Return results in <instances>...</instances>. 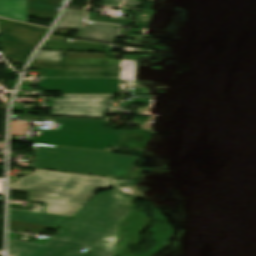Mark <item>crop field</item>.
I'll list each match as a JSON object with an SVG mask.
<instances>
[{
    "label": "crop field",
    "mask_w": 256,
    "mask_h": 256,
    "mask_svg": "<svg viewBox=\"0 0 256 256\" xmlns=\"http://www.w3.org/2000/svg\"><path fill=\"white\" fill-rule=\"evenodd\" d=\"M135 200L116 190L97 193L45 246L9 239L10 255L113 256L116 239L101 240L117 237L118 223L136 207ZM83 248L88 250L79 252Z\"/></svg>",
    "instance_id": "obj_1"
},
{
    "label": "crop field",
    "mask_w": 256,
    "mask_h": 256,
    "mask_svg": "<svg viewBox=\"0 0 256 256\" xmlns=\"http://www.w3.org/2000/svg\"><path fill=\"white\" fill-rule=\"evenodd\" d=\"M13 190L28 193V201L46 203L43 213L72 217L99 189L112 188L103 178L36 171L12 184Z\"/></svg>",
    "instance_id": "obj_2"
},
{
    "label": "crop field",
    "mask_w": 256,
    "mask_h": 256,
    "mask_svg": "<svg viewBox=\"0 0 256 256\" xmlns=\"http://www.w3.org/2000/svg\"><path fill=\"white\" fill-rule=\"evenodd\" d=\"M23 120L59 121L57 131H43L33 143L77 147L106 151L120 136L119 130H102L103 121L37 118L22 116Z\"/></svg>",
    "instance_id": "obj_3"
},
{
    "label": "crop field",
    "mask_w": 256,
    "mask_h": 256,
    "mask_svg": "<svg viewBox=\"0 0 256 256\" xmlns=\"http://www.w3.org/2000/svg\"><path fill=\"white\" fill-rule=\"evenodd\" d=\"M35 167L102 176L112 175L114 153L34 144Z\"/></svg>",
    "instance_id": "obj_4"
},
{
    "label": "crop field",
    "mask_w": 256,
    "mask_h": 256,
    "mask_svg": "<svg viewBox=\"0 0 256 256\" xmlns=\"http://www.w3.org/2000/svg\"><path fill=\"white\" fill-rule=\"evenodd\" d=\"M46 29L17 23L0 34L4 57L25 63Z\"/></svg>",
    "instance_id": "obj_5"
},
{
    "label": "crop field",
    "mask_w": 256,
    "mask_h": 256,
    "mask_svg": "<svg viewBox=\"0 0 256 256\" xmlns=\"http://www.w3.org/2000/svg\"><path fill=\"white\" fill-rule=\"evenodd\" d=\"M109 98L110 96H67L62 99H53L50 115L104 118Z\"/></svg>",
    "instance_id": "obj_6"
},
{
    "label": "crop field",
    "mask_w": 256,
    "mask_h": 256,
    "mask_svg": "<svg viewBox=\"0 0 256 256\" xmlns=\"http://www.w3.org/2000/svg\"><path fill=\"white\" fill-rule=\"evenodd\" d=\"M57 28L80 31L77 38L114 43L120 26L85 22V11L65 10Z\"/></svg>",
    "instance_id": "obj_7"
},
{
    "label": "crop field",
    "mask_w": 256,
    "mask_h": 256,
    "mask_svg": "<svg viewBox=\"0 0 256 256\" xmlns=\"http://www.w3.org/2000/svg\"><path fill=\"white\" fill-rule=\"evenodd\" d=\"M36 86L62 90V94H113L119 92L118 79H42Z\"/></svg>",
    "instance_id": "obj_8"
},
{
    "label": "crop field",
    "mask_w": 256,
    "mask_h": 256,
    "mask_svg": "<svg viewBox=\"0 0 256 256\" xmlns=\"http://www.w3.org/2000/svg\"><path fill=\"white\" fill-rule=\"evenodd\" d=\"M51 77H120V65H62L46 70Z\"/></svg>",
    "instance_id": "obj_9"
},
{
    "label": "crop field",
    "mask_w": 256,
    "mask_h": 256,
    "mask_svg": "<svg viewBox=\"0 0 256 256\" xmlns=\"http://www.w3.org/2000/svg\"><path fill=\"white\" fill-rule=\"evenodd\" d=\"M64 0H28V17L54 21Z\"/></svg>",
    "instance_id": "obj_10"
},
{
    "label": "crop field",
    "mask_w": 256,
    "mask_h": 256,
    "mask_svg": "<svg viewBox=\"0 0 256 256\" xmlns=\"http://www.w3.org/2000/svg\"><path fill=\"white\" fill-rule=\"evenodd\" d=\"M13 220L43 224L62 228L70 218L10 209Z\"/></svg>",
    "instance_id": "obj_11"
},
{
    "label": "crop field",
    "mask_w": 256,
    "mask_h": 256,
    "mask_svg": "<svg viewBox=\"0 0 256 256\" xmlns=\"http://www.w3.org/2000/svg\"><path fill=\"white\" fill-rule=\"evenodd\" d=\"M0 16L27 23V0H0Z\"/></svg>",
    "instance_id": "obj_12"
},
{
    "label": "crop field",
    "mask_w": 256,
    "mask_h": 256,
    "mask_svg": "<svg viewBox=\"0 0 256 256\" xmlns=\"http://www.w3.org/2000/svg\"><path fill=\"white\" fill-rule=\"evenodd\" d=\"M137 161H139V158L136 156L118 154L113 174L123 178H130L132 168Z\"/></svg>",
    "instance_id": "obj_13"
},
{
    "label": "crop field",
    "mask_w": 256,
    "mask_h": 256,
    "mask_svg": "<svg viewBox=\"0 0 256 256\" xmlns=\"http://www.w3.org/2000/svg\"><path fill=\"white\" fill-rule=\"evenodd\" d=\"M64 64H118L113 59H64Z\"/></svg>",
    "instance_id": "obj_14"
},
{
    "label": "crop field",
    "mask_w": 256,
    "mask_h": 256,
    "mask_svg": "<svg viewBox=\"0 0 256 256\" xmlns=\"http://www.w3.org/2000/svg\"><path fill=\"white\" fill-rule=\"evenodd\" d=\"M34 60L62 61V52H38Z\"/></svg>",
    "instance_id": "obj_15"
},
{
    "label": "crop field",
    "mask_w": 256,
    "mask_h": 256,
    "mask_svg": "<svg viewBox=\"0 0 256 256\" xmlns=\"http://www.w3.org/2000/svg\"><path fill=\"white\" fill-rule=\"evenodd\" d=\"M88 20L96 21V22L123 24V25L132 24L131 21H127V20H118V19H110V18L97 17L95 13H88Z\"/></svg>",
    "instance_id": "obj_16"
},
{
    "label": "crop field",
    "mask_w": 256,
    "mask_h": 256,
    "mask_svg": "<svg viewBox=\"0 0 256 256\" xmlns=\"http://www.w3.org/2000/svg\"><path fill=\"white\" fill-rule=\"evenodd\" d=\"M28 123L12 121L11 135H24L27 132Z\"/></svg>",
    "instance_id": "obj_17"
},
{
    "label": "crop field",
    "mask_w": 256,
    "mask_h": 256,
    "mask_svg": "<svg viewBox=\"0 0 256 256\" xmlns=\"http://www.w3.org/2000/svg\"><path fill=\"white\" fill-rule=\"evenodd\" d=\"M62 62H47V61H32L29 68L30 69H47L62 65Z\"/></svg>",
    "instance_id": "obj_18"
},
{
    "label": "crop field",
    "mask_w": 256,
    "mask_h": 256,
    "mask_svg": "<svg viewBox=\"0 0 256 256\" xmlns=\"http://www.w3.org/2000/svg\"><path fill=\"white\" fill-rule=\"evenodd\" d=\"M107 54L64 53V58H106Z\"/></svg>",
    "instance_id": "obj_19"
},
{
    "label": "crop field",
    "mask_w": 256,
    "mask_h": 256,
    "mask_svg": "<svg viewBox=\"0 0 256 256\" xmlns=\"http://www.w3.org/2000/svg\"><path fill=\"white\" fill-rule=\"evenodd\" d=\"M141 3L142 0H125L123 3V7L139 8Z\"/></svg>",
    "instance_id": "obj_20"
},
{
    "label": "crop field",
    "mask_w": 256,
    "mask_h": 256,
    "mask_svg": "<svg viewBox=\"0 0 256 256\" xmlns=\"http://www.w3.org/2000/svg\"><path fill=\"white\" fill-rule=\"evenodd\" d=\"M16 22L4 20L0 18V32L6 30L7 28L11 27L14 25Z\"/></svg>",
    "instance_id": "obj_21"
},
{
    "label": "crop field",
    "mask_w": 256,
    "mask_h": 256,
    "mask_svg": "<svg viewBox=\"0 0 256 256\" xmlns=\"http://www.w3.org/2000/svg\"><path fill=\"white\" fill-rule=\"evenodd\" d=\"M122 0H102L104 5L119 6Z\"/></svg>",
    "instance_id": "obj_22"
},
{
    "label": "crop field",
    "mask_w": 256,
    "mask_h": 256,
    "mask_svg": "<svg viewBox=\"0 0 256 256\" xmlns=\"http://www.w3.org/2000/svg\"><path fill=\"white\" fill-rule=\"evenodd\" d=\"M18 103H28V102H34V99H28V98H16V101Z\"/></svg>",
    "instance_id": "obj_23"
},
{
    "label": "crop field",
    "mask_w": 256,
    "mask_h": 256,
    "mask_svg": "<svg viewBox=\"0 0 256 256\" xmlns=\"http://www.w3.org/2000/svg\"><path fill=\"white\" fill-rule=\"evenodd\" d=\"M51 39H57V40L66 41V38H61V37H57V36H52Z\"/></svg>",
    "instance_id": "obj_24"
},
{
    "label": "crop field",
    "mask_w": 256,
    "mask_h": 256,
    "mask_svg": "<svg viewBox=\"0 0 256 256\" xmlns=\"http://www.w3.org/2000/svg\"><path fill=\"white\" fill-rule=\"evenodd\" d=\"M109 236L105 237L103 240H106ZM116 238V237H115Z\"/></svg>",
    "instance_id": "obj_25"
}]
</instances>
